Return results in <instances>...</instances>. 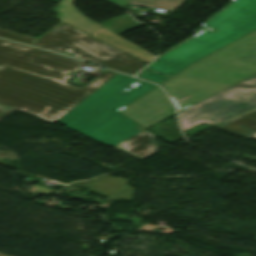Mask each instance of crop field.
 <instances>
[{"label": "crop field", "mask_w": 256, "mask_h": 256, "mask_svg": "<svg viewBox=\"0 0 256 256\" xmlns=\"http://www.w3.org/2000/svg\"><path fill=\"white\" fill-rule=\"evenodd\" d=\"M0 104L55 122L117 73L104 71L80 89L65 83L83 64L64 56L0 39Z\"/></svg>", "instance_id": "1"}, {"label": "crop field", "mask_w": 256, "mask_h": 256, "mask_svg": "<svg viewBox=\"0 0 256 256\" xmlns=\"http://www.w3.org/2000/svg\"><path fill=\"white\" fill-rule=\"evenodd\" d=\"M138 81L139 79L136 78L116 75L57 122L107 146H112L146 129L143 126L140 131L135 129L139 124L119 113V110L157 87L141 81L127 92L122 91Z\"/></svg>", "instance_id": "2"}, {"label": "crop field", "mask_w": 256, "mask_h": 256, "mask_svg": "<svg viewBox=\"0 0 256 256\" xmlns=\"http://www.w3.org/2000/svg\"><path fill=\"white\" fill-rule=\"evenodd\" d=\"M256 73V34L188 66L161 86L179 111Z\"/></svg>", "instance_id": "3"}, {"label": "crop field", "mask_w": 256, "mask_h": 256, "mask_svg": "<svg viewBox=\"0 0 256 256\" xmlns=\"http://www.w3.org/2000/svg\"><path fill=\"white\" fill-rule=\"evenodd\" d=\"M204 26L207 29L155 59L146 69L174 76L188 65L256 30V0H233Z\"/></svg>", "instance_id": "4"}, {"label": "crop field", "mask_w": 256, "mask_h": 256, "mask_svg": "<svg viewBox=\"0 0 256 256\" xmlns=\"http://www.w3.org/2000/svg\"><path fill=\"white\" fill-rule=\"evenodd\" d=\"M0 37L39 46L58 53L72 52L78 56L75 58L87 60L131 75L146 65V63L64 23L39 39L1 29Z\"/></svg>", "instance_id": "5"}, {"label": "crop field", "mask_w": 256, "mask_h": 256, "mask_svg": "<svg viewBox=\"0 0 256 256\" xmlns=\"http://www.w3.org/2000/svg\"><path fill=\"white\" fill-rule=\"evenodd\" d=\"M256 106V74L179 113L186 130L199 123L214 125Z\"/></svg>", "instance_id": "6"}, {"label": "crop field", "mask_w": 256, "mask_h": 256, "mask_svg": "<svg viewBox=\"0 0 256 256\" xmlns=\"http://www.w3.org/2000/svg\"><path fill=\"white\" fill-rule=\"evenodd\" d=\"M120 112L147 128L175 114V109L157 87Z\"/></svg>", "instance_id": "7"}, {"label": "crop field", "mask_w": 256, "mask_h": 256, "mask_svg": "<svg viewBox=\"0 0 256 256\" xmlns=\"http://www.w3.org/2000/svg\"><path fill=\"white\" fill-rule=\"evenodd\" d=\"M74 0H62L59 6L53 9L57 13V19L77 28L89 35L100 29L101 25L87 19L81 15L78 10L72 5Z\"/></svg>", "instance_id": "8"}, {"label": "crop field", "mask_w": 256, "mask_h": 256, "mask_svg": "<svg viewBox=\"0 0 256 256\" xmlns=\"http://www.w3.org/2000/svg\"><path fill=\"white\" fill-rule=\"evenodd\" d=\"M137 160L157 151L154 136L147 130L113 146Z\"/></svg>", "instance_id": "9"}, {"label": "crop field", "mask_w": 256, "mask_h": 256, "mask_svg": "<svg viewBox=\"0 0 256 256\" xmlns=\"http://www.w3.org/2000/svg\"><path fill=\"white\" fill-rule=\"evenodd\" d=\"M127 183H128V180L103 176V177L95 178L91 181L73 183V185L91 188V189L112 195ZM134 190L135 188L127 186L121 191H119L118 193L114 194V196L129 200L132 198L130 196Z\"/></svg>", "instance_id": "10"}, {"label": "crop field", "mask_w": 256, "mask_h": 256, "mask_svg": "<svg viewBox=\"0 0 256 256\" xmlns=\"http://www.w3.org/2000/svg\"><path fill=\"white\" fill-rule=\"evenodd\" d=\"M92 36L105 41L113 46H116L130 54H133L147 62H149L151 59L155 57V55L147 52L146 50L138 47L137 45L131 43L130 41L122 38L121 36L113 33L112 31L101 28L96 33H94ZM152 61V60H151Z\"/></svg>", "instance_id": "11"}, {"label": "crop field", "mask_w": 256, "mask_h": 256, "mask_svg": "<svg viewBox=\"0 0 256 256\" xmlns=\"http://www.w3.org/2000/svg\"><path fill=\"white\" fill-rule=\"evenodd\" d=\"M218 128L242 137H256V110L223 123Z\"/></svg>", "instance_id": "12"}, {"label": "crop field", "mask_w": 256, "mask_h": 256, "mask_svg": "<svg viewBox=\"0 0 256 256\" xmlns=\"http://www.w3.org/2000/svg\"><path fill=\"white\" fill-rule=\"evenodd\" d=\"M185 0H130L128 4L173 11Z\"/></svg>", "instance_id": "13"}, {"label": "crop field", "mask_w": 256, "mask_h": 256, "mask_svg": "<svg viewBox=\"0 0 256 256\" xmlns=\"http://www.w3.org/2000/svg\"><path fill=\"white\" fill-rule=\"evenodd\" d=\"M137 76L139 78L148 80L150 82H153V83H156V84H159V85H161L167 79H169V77L160 75L158 73H155V72H152V71H149V70H146V69H144L140 73H138Z\"/></svg>", "instance_id": "14"}, {"label": "crop field", "mask_w": 256, "mask_h": 256, "mask_svg": "<svg viewBox=\"0 0 256 256\" xmlns=\"http://www.w3.org/2000/svg\"><path fill=\"white\" fill-rule=\"evenodd\" d=\"M12 110L14 109L0 105V119H2L4 116L10 113Z\"/></svg>", "instance_id": "15"}, {"label": "crop field", "mask_w": 256, "mask_h": 256, "mask_svg": "<svg viewBox=\"0 0 256 256\" xmlns=\"http://www.w3.org/2000/svg\"><path fill=\"white\" fill-rule=\"evenodd\" d=\"M109 1L119 4L125 8L129 0H109Z\"/></svg>", "instance_id": "16"}, {"label": "crop field", "mask_w": 256, "mask_h": 256, "mask_svg": "<svg viewBox=\"0 0 256 256\" xmlns=\"http://www.w3.org/2000/svg\"><path fill=\"white\" fill-rule=\"evenodd\" d=\"M255 33H256V31L253 32V33H251V34H249V35H247V36H245V37H243V38H241V39L243 40V39H245V38H247V37H249V36H251V35H253V34H255Z\"/></svg>", "instance_id": "17"}]
</instances>
